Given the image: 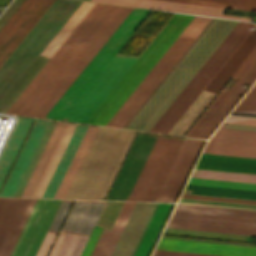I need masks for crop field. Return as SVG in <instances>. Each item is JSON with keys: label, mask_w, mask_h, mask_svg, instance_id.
<instances>
[{"label": "crop field", "mask_w": 256, "mask_h": 256, "mask_svg": "<svg viewBox=\"0 0 256 256\" xmlns=\"http://www.w3.org/2000/svg\"><path fill=\"white\" fill-rule=\"evenodd\" d=\"M112 6L110 4H94L7 113L25 114ZM131 9L114 5L25 115L44 117ZM150 11L132 9L46 114V118L63 119Z\"/></svg>", "instance_id": "obj_1"}, {"label": "crop field", "mask_w": 256, "mask_h": 256, "mask_svg": "<svg viewBox=\"0 0 256 256\" xmlns=\"http://www.w3.org/2000/svg\"><path fill=\"white\" fill-rule=\"evenodd\" d=\"M138 136V135H137ZM137 138V137H136ZM157 137L139 135L107 200H126ZM172 139L158 137L127 200L141 201ZM183 141L173 139L143 200L154 201Z\"/></svg>", "instance_id": "obj_2"}, {"label": "crop field", "mask_w": 256, "mask_h": 256, "mask_svg": "<svg viewBox=\"0 0 256 256\" xmlns=\"http://www.w3.org/2000/svg\"><path fill=\"white\" fill-rule=\"evenodd\" d=\"M131 132L99 127L64 198L99 199Z\"/></svg>", "instance_id": "obj_3"}, {"label": "crop field", "mask_w": 256, "mask_h": 256, "mask_svg": "<svg viewBox=\"0 0 256 256\" xmlns=\"http://www.w3.org/2000/svg\"><path fill=\"white\" fill-rule=\"evenodd\" d=\"M193 17L175 13L86 123L105 125Z\"/></svg>", "instance_id": "obj_4"}, {"label": "crop field", "mask_w": 256, "mask_h": 256, "mask_svg": "<svg viewBox=\"0 0 256 256\" xmlns=\"http://www.w3.org/2000/svg\"><path fill=\"white\" fill-rule=\"evenodd\" d=\"M254 26L238 21L150 131L168 132Z\"/></svg>", "instance_id": "obj_5"}, {"label": "crop field", "mask_w": 256, "mask_h": 256, "mask_svg": "<svg viewBox=\"0 0 256 256\" xmlns=\"http://www.w3.org/2000/svg\"><path fill=\"white\" fill-rule=\"evenodd\" d=\"M37 199L23 198L0 244L9 256ZM42 199H38L10 256H14ZM62 200L43 199L15 256H35Z\"/></svg>", "instance_id": "obj_6"}, {"label": "crop field", "mask_w": 256, "mask_h": 256, "mask_svg": "<svg viewBox=\"0 0 256 256\" xmlns=\"http://www.w3.org/2000/svg\"><path fill=\"white\" fill-rule=\"evenodd\" d=\"M167 227L256 235V212L177 204Z\"/></svg>", "instance_id": "obj_7"}, {"label": "crop field", "mask_w": 256, "mask_h": 256, "mask_svg": "<svg viewBox=\"0 0 256 256\" xmlns=\"http://www.w3.org/2000/svg\"><path fill=\"white\" fill-rule=\"evenodd\" d=\"M211 18L195 16L127 100L107 122V126L122 128L141 103L151 93L182 53L192 43Z\"/></svg>", "instance_id": "obj_8"}, {"label": "crop field", "mask_w": 256, "mask_h": 256, "mask_svg": "<svg viewBox=\"0 0 256 256\" xmlns=\"http://www.w3.org/2000/svg\"><path fill=\"white\" fill-rule=\"evenodd\" d=\"M36 122L18 156V159L0 193V196H13L31 158L50 121L38 120ZM33 119L21 118L9 138V141L0 157V187L9 171V168L21 146V143L32 123Z\"/></svg>", "instance_id": "obj_9"}, {"label": "crop field", "mask_w": 256, "mask_h": 256, "mask_svg": "<svg viewBox=\"0 0 256 256\" xmlns=\"http://www.w3.org/2000/svg\"><path fill=\"white\" fill-rule=\"evenodd\" d=\"M105 202L76 200L62 228L90 234ZM63 229L49 256H80L89 235Z\"/></svg>", "instance_id": "obj_10"}, {"label": "crop field", "mask_w": 256, "mask_h": 256, "mask_svg": "<svg viewBox=\"0 0 256 256\" xmlns=\"http://www.w3.org/2000/svg\"><path fill=\"white\" fill-rule=\"evenodd\" d=\"M135 60L115 56L63 120L85 123Z\"/></svg>", "instance_id": "obj_11"}, {"label": "crop field", "mask_w": 256, "mask_h": 256, "mask_svg": "<svg viewBox=\"0 0 256 256\" xmlns=\"http://www.w3.org/2000/svg\"><path fill=\"white\" fill-rule=\"evenodd\" d=\"M55 0H24L0 29V66Z\"/></svg>", "instance_id": "obj_12"}, {"label": "crop field", "mask_w": 256, "mask_h": 256, "mask_svg": "<svg viewBox=\"0 0 256 256\" xmlns=\"http://www.w3.org/2000/svg\"><path fill=\"white\" fill-rule=\"evenodd\" d=\"M256 47L255 49L251 52V54L246 58V60L242 63V65L238 68V70L233 74L232 79L236 80L234 82V84L236 83V85L233 87V89L230 91V93L227 95L226 93L231 89V87L234 85H232L228 91L226 93H222V91L218 94V96L213 100V102L210 104V106L205 110V112L200 116V118L196 121V123L191 127V129L186 133L185 136H187L191 130L196 126V124L200 121V119L204 116V114L209 110H210L205 114V116L201 119V121L197 124V126L193 129V131L188 135V136H192L196 130L200 127V125L204 122V120L208 117V115L213 111V109L217 106V104L221 101V99L225 96V94L227 95L226 98L221 102V104L215 109V111L209 116V118L204 122V124L198 129V131L194 134L195 137L199 136V134L204 130V128L209 124V122L213 119V117L218 113V111L222 108V106L226 103V101L230 98V96L235 92H236L231 96V98L227 101V103L223 106V108L219 111V113L214 117V119L210 122V124L206 127V129L202 132V134L199 136L200 138H202L205 133L210 129V127L215 123V121L219 118V116L224 112V110L229 106V104L234 100V98L238 95V93L241 91V93L239 94V96L235 99V101L230 105V107L224 112V114L218 119V121L213 125V127L207 132V134L204 136V138H208L209 135L214 131V129L219 125V123L224 119V117L226 116V113L230 110V108L237 102V100L243 95V93L245 92V90L241 89V85L243 83H246L248 85H252L253 82L256 80V75L251 79V81L248 83V81L250 80V78L255 74L256 72V61L253 63V65L248 69V71L243 75V77L241 79H239L241 77V75L246 71V69L251 65V63L255 60L256 58ZM255 54V55H254ZM254 55V56H253ZM253 56V57H252ZM252 57V59H251ZM251 59V60H250ZM250 60V61H249ZM249 61V62H248ZM248 62V64H247ZM247 64V65H246ZM246 65V66H245ZM245 66V67H244ZM244 67V68H243ZM243 68V70H242ZM255 68V69H254ZM254 69V70H253ZM242 70V71H241ZM253 70V71H252ZM241 71V72H240ZM252 71V73H251ZM240 72V73H239ZM239 73V74H238ZM251 73V74H250ZM238 74V76H237ZM250 74V75H249ZM249 75V76H248ZM237 76V77H236ZM248 76V77H247ZM236 77V78H235ZM247 77V79H246ZM246 79V80H245ZM245 80V81H244Z\"/></svg>", "instance_id": "obj_13"}, {"label": "crop field", "mask_w": 256, "mask_h": 256, "mask_svg": "<svg viewBox=\"0 0 256 256\" xmlns=\"http://www.w3.org/2000/svg\"><path fill=\"white\" fill-rule=\"evenodd\" d=\"M183 193L256 200V191L187 184ZM183 194L182 197L256 204V201ZM181 198L179 203L256 210V205Z\"/></svg>", "instance_id": "obj_14"}, {"label": "crop field", "mask_w": 256, "mask_h": 256, "mask_svg": "<svg viewBox=\"0 0 256 256\" xmlns=\"http://www.w3.org/2000/svg\"><path fill=\"white\" fill-rule=\"evenodd\" d=\"M203 152L256 157V131L218 128Z\"/></svg>", "instance_id": "obj_15"}, {"label": "crop field", "mask_w": 256, "mask_h": 256, "mask_svg": "<svg viewBox=\"0 0 256 256\" xmlns=\"http://www.w3.org/2000/svg\"><path fill=\"white\" fill-rule=\"evenodd\" d=\"M203 141L186 138L155 201L173 202Z\"/></svg>", "instance_id": "obj_16"}, {"label": "crop field", "mask_w": 256, "mask_h": 256, "mask_svg": "<svg viewBox=\"0 0 256 256\" xmlns=\"http://www.w3.org/2000/svg\"><path fill=\"white\" fill-rule=\"evenodd\" d=\"M125 203H124V205H125ZM135 203L136 202H127L125 207L123 205L124 209L122 207L123 211L121 209L122 213L120 211L121 215L119 213L120 217L118 215L119 219L117 217V219H118V221L116 219L117 223L115 221L116 226H115V223L112 228L95 226L86 245H85V248H84L81 256H100L104 249V246H105V244L115 226V228L105 246V249L101 255V256H110Z\"/></svg>", "instance_id": "obj_17"}, {"label": "crop field", "mask_w": 256, "mask_h": 256, "mask_svg": "<svg viewBox=\"0 0 256 256\" xmlns=\"http://www.w3.org/2000/svg\"><path fill=\"white\" fill-rule=\"evenodd\" d=\"M156 249L182 252L226 255V256H256L255 247L175 240L161 238Z\"/></svg>", "instance_id": "obj_18"}, {"label": "crop field", "mask_w": 256, "mask_h": 256, "mask_svg": "<svg viewBox=\"0 0 256 256\" xmlns=\"http://www.w3.org/2000/svg\"><path fill=\"white\" fill-rule=\"evenodd\" d=\"M91 1L159 9V10H167V11H175V12H183V13H191V14H199V15H207V16H215V17H223V18H231V19H239V20H247V21L251 20V18H248V17L223 15L225 9H222V8L182 4V3L159 1V0H91Z\"/></svg>", "instance_id": "obj_19"}, {"label": "crop field", "mask_w": 256, "mask_h": 256, "mask_svg": "<svg viewBox=\"0 0 256 256\" xmlns=\"http://www.w3.org/2000/svg\"><path fill=\"white\" fill-rule=\"evenodd\" d=\"M195 168L256 174V158L202 153Z\"/></svg>", "instance_id": "obj_20"}, {"label": "crop field", "mask_w": 256, "mask_h": 256, "mask_svg": "<svg viewBox=\"0 0 256 256\" xmlns=\"http://www.w3.org/2000/svg\"><path fill=\"white\" fill-rule=\"evenodd\" d=\"M246 37L238 49L233 53L225 65L220 69L212 81L207 85L206 89L218 92L229 77L234 73L238 66L248 56L252 49L256 46V26Z\"/></svg>", "instance_id": "obj_21"}, {"label": "crop field", "mask_w": 256, "mask_h": 256, "mask_svg": "<svg viewBox=\"0 0 256 256\" xmlns=\"http://www.w3.org/2000/svg\"><path fill=\"white\" fill-rule=\"evenodd\" d=\"M172 205L157 204L132 256H148Z\"/></svg>", "instance_id": "obj_22"}, {"label": "crop field", "mask_w": 256, "mask_h": 256, "mask_svg": "<svg viewBox=\"0 0 256 256\" xmlns=\"http://www.w3.org/2000/svg\"><path fill=\"white\" fill-rule=\"evenodd\" d=\"M57 122L20 197H30L65 126Z\"/></svg>", "instance_id": "obj_23"}, {"label": "crop field", "mask_w": 256, "mask_h": 256, "mask_svg": "<svg viewBox=\"0 0 256 256\" xmlns=\"http://www.w3.org/2000/svg\"><path fill=\"white\" fill-rule=\"evenodd\" d=\"M86 128V125H77L42 197H53Z\"/></svg>", "instance_id": "obj_24"}, {"label": "crop field", "mask_w": 256, "mask_h": 256, "mask_svg": "<svg viewBox=\"0 0 256 256\" xmlns=\"http://www.w3.org/2000/svg\"><path fill=\"white\" fill-rule=\"evenodd\" d=\"M94 3L82 1L77 9L72 13L68 20L63 24L59 31L54 35L46 47L41 51L40 55L50 58L60 44L70 34L74 27L79 23L83 16L93 6Z\"/></svg>", "instance_id": "obj_25"}, {"label": "crop field", "mask_w": 256, "mask_h": 256, "mask_svg": "<svg viewBox=\"0 0 256 256\" xmlns=\"http://www.w3.org/2000/svg\"><path fill=\"white\" fill-rule=\"evenodd\" d=\"M77 124L68 123L32 196L41 197Z\"/></svg>", "instance_id": "obj_26"}, {"label": "crop field", "mask_w": 256, "mask_h": 256, "mask_svg": "<svg viewBox=\"0 0 256 256\" xmlns=\"http://www.w3.org/2000/svg\"><path fill=\"white\" fill-rule=\"evenodd\" d=\"M97 128H93V127H88L55 195L53 198H63L80 163H81V160L96 132Z\"/></svg>", "instance_id": "obj_27"}, {"label": "crop field", "mask_w": 256, "mask_h": 256, "mask_svg": "<svg viewBox=\"0 0 256 256\" xmlns=\"http://www.w3.org/2000/svg\"><path fill=\"white\" fill-rule=\"evenodd\" d=\"M73 200H63L50 227L58 230ZM49 229L36 256H46L58 231Z\"/></svg>", "instance_id": "obj_28"}, {"label": "crop field", "mask_w": 256, "mask_h": 256, "mask_svg": "<svg viewBox=\"0 0 256 256\" xmlns=\"http://www.w3.org/2000/svg\"><path fill=\"white\" fill-rule=\"evenodd\" d=\"M191 177L256 183V175L194 169Z\"/></svg>", "instance_id": "obj_29"}, {"label": "crop field", "mask_w": 256, "mask_h": 256, "mask_svg": "<svg viewBox=\"0 0 256 256\" xmlns=\"http://www.w3.org/2000/svg\"><path fill=\"white\" fill-rule=\"evenodd\" d=\"M182 3L214 6V7H230L256 11V0H167Z\"/></svg>", "instance_id": "obj_30"}, {"label": "crop field", "mask_w": 256, "mask_h": 256, "mask_svg": "<svg viewBox=\"0 0 256 256\" xmlns=\"http://www.w3.org/2000/svg\"><path fill=\"white\" fill-rule=\"evenodd\" d=\"M22 198L0 197V241Z\"/></svg>", "instance_id": "obj_31"}, {"label": "crop field", "mask_w": 256, "mask_h": 256, "mask_svg": "<svg viewBox=\"0 0 256 256\" xmlns=\"http://www.w3.org/2000/svg\"><path fill=\"white\" fill-rule=\"evenodd\" d=\"M231 113L256 115V83L233 109Z\"/></svg>", "instance_id": "obj_32"}, {"label": "crop field", "mask_w": 256, "mask_h": 256, "mask_svg": "<svg viewBox=\"0 0 256 256\" xmlns=\"http://www.w3.org/2000/svg\"><path fill=\"white\" fill-rule=\"evenodd\" d=\"M188 183L256 190V184H249V183L216 181V180L195 179V178H190Z\"/></svg>", "instance_id": "obj_33"}, {"label": "crop field", "mask_w": 256, "mask_h": 256, "mask_svg": "<svg viewBox=\"0 0 256 256\" xmlns=\"http://www.w3.org/2000/svg\"><path fill=\"white\" fill-rule=\"evenodd\" d=\"M224 122L256 125V118L227 116V118L224 120Z\"/></svg>", "instance_id": "obj_34"}, {"label": "crop field", "mask_w": 256, "mask_h": 256, "mask_svg": "<svg viewBox=\"0 0 256 256\" xmlns=\"http://www.w3.org/2000/svg\"><path fill=\"white\" fill-rule=\"evenodd\" d=\"M153 256H215V255H204V254H193V253L155 250Z\"/></svg>", "instance_id": "obj_35"}, {"label": "crop field", "mask_w": 256, "mask_h": 256, "mask_svg": "<svg viewBox=\"0 0 256 256\" xmlns=\"http://www.w3.org/2000/svg\"><path fill=\"white\" fill-rule=\"evenodd\" d=\"M220 127L235 128V129H246V130H256V126L228 124V123H222Z\"/></svg>", "instance_id": "obj_36"}, {"label": "crop field", "mask_w": 256, "mask_h": 256, "mask_svg": "<svg viewBox=\"0 0 256 256\" xmlns=\"http://www.w3.org/2000/svg\"><path fill=\"white\" fill-rule=\"evenodd\" d=\"M228 93H229V92H228ZM228 93H227V94H228ZM224 98H225V97H224ZM224 98H223V99H224ZM218 105H219V104H218ZM204 129H205V128H204ZM191 131H192V130H191ZM200 134H201V133H200ZM200 134H199V135H200Z\"/></svg>", "instance_id": "obj_37"}]
</instances>
